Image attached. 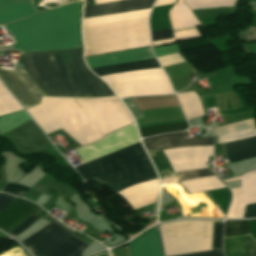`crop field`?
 Wrapping results in <instances>:
<instances>
[{"instance_id": "crop-field-1", "label": "crop field", "mask_w": 256, "mask_h": 256, "mask_svg": "<svg viewBox=\"0 0 256 256\" xmlns=\"http://www.w3.org/2000/svg\"><path fill=\"white\" fill-rule=\"evenodd\" d=\"M24 68L46 96L103 97L112 92L90 74L81 59V48L43 53H22ZM25 71L0 69V80L27 108L45 96Z\"/></svg>"}, {"instance_id": "crop-field-2", "label": "crop field", "mask_w": 256, "mask_h": 256, "mask_svg": "<svg viewBox=\"0 0 256 256\" xmlns=\"http://www.w3.org/2000/svg\"><path fill=\"white\" fill-rule=\"evenodd\" d=\"M72 99L94 125L101 138L116 129L134 123L115 96ZM72 99L42 97L40 104L58 126L81 145L100 139L95 128ZM40 104L26 110L46 134L60 129Z\"/></svg>"}, {"instance_id": "crop-field-3", "label": "crop field", "mask_w": 256, "mask_h": 256, "mask_svg": "<svg viewBox=\"0 0 256 256\" xmlns=\"http://www.w3.org/2000/svg\"><path fill=\"white\" fill-rule=\"evenodd\" d=\"M139 143L140 139L134 124H132L107 135L98 142L75 150L81 156L83 163H85ZM76 170L85 183L98 178L110 185L125 178L153 170V167L143 147L139 144L82 164L76 167ZM156 177L153 170L112 184L110 187L117 192L125 187Z\"/></svg>"}, {"instance_id": "crop-field-4", "label": "crop field", "mask_w": 256, "mask_h": 256, "mask_svg": "<svg viewBox=\"0 0 256 256\" xmlns=\"http://www.w3.org/2000/svg\"><path fill=\"white\" fill-rule=\"evenodd\" d=\"M78 1L49 9L32 17L4 25L13 35L15 51L59 50L81 47Z\"/></svg>"}, {"instance_id": "crop-field-5", "label": "crop field", "mask_w": 256, "mask_h": 256, "mask_svg": "<svg viewBox=\"0 0 256 256\" xmlns=\"http://www.w3.org/2000/svg\"><path fill=\"white\" fill-rule=\"evenodd\" d=\"M166 256L211 250L213 221H178L160 225ZM181 256H223L222 250Z\"/></svg>"}, {"instance_id": "crop-field-6", "label": "crop field", "mask_w": 256, "mask_h": 256, "mask_svg": "<svg viewBox=\"0 0 256 256\" xmlns=\"http://www.w3.org/2000/svg\"><path fill=\"white\" fill-rule=\"evenodd\" d=\"M101 78L121 99L132 96L173 93L161 68L105 75Z\"/></svg>"}, {"instance_id": "crop-field-7", "label": "crop field", "mask_w": 256, "mask_h": 256, "mask_svg": "<svg viewBox=\"0 0 256 256\" xmlns=\"http://www.w3.org/2000/svg\"><path fill=\"white\" fill-rule=\"evenodd\" d=\"M147 152L181 146L213 145V137L185 138L183 132L150 137L142 140ZM161 180L176 177L162 150L148 153Z\"/></svg>"}, {"instance_id": "crop-field-8", "label": "crop field", "mask_w": 256, "mask_h": 256, "mask_svg": "<svg viewBox=\"0 0 256 256\" xmlns=\"http://www.w3.org/2000/svg\"><path fill=\"white\" fill-rule=\"evenodd\" d=\"M71 234L72 232L52 220L31 237L20 243L34 256H46Z\"/></svg>"}, {"instance_id": "crop-field-9", "label": "crop field", "mask_w": 256, "mask_h": 256, "mask_svg": "<svg viewBox=\"0 0 256 256\" xmlns=\"http://www.w3.org/2000/svg\"><path fill=\"white\" fill-rule=\"evenodd\" d=\"M174 172L203 169L206 167L208 155L212 154V146L181 147L163 150Z\"/></svg>"}, {"instance_id": "crop-field-10", "label": "crop field", "mask_w": 256, "mask_h": 256, "mask_svg": "<svg viewBox=\"0 0 256 256\" xmlns=\"http://www.w3.org/2000/svg\"><path fill=\"white\" fill-rule=\"evenodd\" d=\"M241 179V188H233L232 203L226 218H242L245 205L256 203V170L240 177L225 180L231 182Z\"/></svg>"}, {"instance_id": "crop-field-11", "label": "crop field", "mask_w": 256, "mask_h": 256, "mask_svg": "<svg viewBox=\"0 0 256 256\" xmlns=\"http://www.w3.org/2000/svg\"><path fill=\"white\" fill-rule=\"evenodd\" d=\"M18 148L19 151L38 152L51 147L50 143L30 120L4 133Z\"/></svg>"}, {"instance_id": "crop-field-12", "label": "crop field", "mask_w": 256, "mask_h": 256, "mask_svg": "<svg viewBox=\"0 0 256 256\" xmlns=\"http://www.w3.org/2000/svg\"><path fill=\"white\" fill-rule=\"evenodd\" d=\"M118 194L132 210L154 203L159 194L158 178L128 187Z\"/></svg>"}, {"instance_id": "crop-field-13", "label": "crop field", "mask_w": 256, "mask_h": 256, "mask_svg": "<svg viewBox=\"0 0 256 256\" xmlns=\"http://www.w3.org/2000/svg\"><path fill=\"white\" fill-rule=\"evenodd\" d=\"M155 0H122L84 7V16L94 17L151 8Z\"/></svg>"}, {"instance_id": "crop-field-14", "label": "crop field", "mask_w": 256, "mask_h": 256, "mask_svg": "<svg viewBox=\"0 0 256 256\" xmlns=\"http://www.w3.org/2000/svg\"><path fill=\"white\" fill-rule=\"evenodd\" d=\"M151 58H154V56L150 50V47H147V48L87 57L85 58V60L89 69H91V68L100 67V66L127 63V62L143 60V59H151Z\"/></svg>"}, {"instance_id": "crop-field-15", "label": "crop field", "mask_w": 256, "mask_h": 256, "mask_svg": "<svg viewBox=\"0 0 256 256\" xmlns=\"http://www.w3.org/2000/svg\"><path fill=\"white\" fill-rule=\"evenodd\" d=\"M38 206L17 198L0 212V228L10 231L13 227L28 217Z\"/></svg>"}, {"instance_id": "crop-field-16", "label": "crop field", "mask_w": 256, "mask_h": 256, "mask_svg": "<svg viewBox=\"0 0 256 256\" xmlns=\"http://www.w3.org/2000/svg\"><path fill=\"white\" fill-rule=\"evenodd\" d=\"M129 256H163L158 227L145 232L128 246Z\"/></svg>"}, {"instance_id": "crop-field-17", "label": "crop field", "mask_w": 256, "mask_h": 256, "mask_svg": "<svg viewBox=\"0 0 256 256\" xmlns=\"http://www.w3.org/2000/svg\"><path fill=\"white\" fill-rule=\"evenodd\" d=\"M37 12L33 0H0V22L7 23Z\"/></svg>"}, {"instance_id": "crop-field-18", "label": "crop field", "mask_w": 256, "mask_h": 256, "mask_svg": "<svg viewBox=\"0 0 256 256\" xmlns=\"http://www.w3.org/2000/svg\"><path fill=\"white\" fill-rule=\"evenodd\" d=\"M225 256H256V240L250 235L224 238Z\"/></svg>"}, {"instance_id": "crop-field-19", "label": "crop field", "mask_w": 256, "mask_h": 256, "mask_svg": "<svg viewBox=\"0 0 256 256\" xmlns=\"http://www.w3.org/2000/svg\"><path fill=\"white\" fill-rule=\"evenodd\" d=\"M229 162H236L256 156V137L223 144Z\"/></svg>"}, {"instance_id": "crop-field-20", "label": "crop field", "mask_w": 256, "mask_h": 256, "mask_svg": "<svg viewBox=\"0 0 256 256\" xmlns=\"http://www.w3.org/2000/svg\"><path fill=\"white\" fill-rule=\"evenodd\" d=\"M187 119L203 115V110L198 95L194 92L176 94Z\"/></svg>"}, {"instance_id": "crop-field-21", "label": "crop field", "mask_w": 256, "mask_h": 256, "mask_svg": "<svg viewBox=\"0 0 256 256\" xmlns=\"http://www.w3.org/2000/svg\"><path fill=\"white\" fill-rule=\"evenodd\" d=\"M155 67H159V65L156 59H151V60L121 64V65L95 68V69H91V71L96 75L101 76V75L111 74V73H118V72H124V71L135 70V69L155 68Z\"/></svg>"}, {"instance_id": "crop-field-22", "label": "crop field", "mask_w": 256, "mask_h": 256, "mask_svg": "<svg viewBox=\"0 0 256 256\" xmlns=\"http://www.w3.org/2000/svg\"><path fill=\"white\" fill-rule=\"evenodd\" d=\"M181 184L191 193L202 192L206 190L220 189L225 186L222 182L215 176H210L206 178L193 179L182 181Z\"/></svg>"}, {"instance_id": "crop-field-23", "label": "crop field", "mask_w": 256, "mask_h": 256, "mask_svg": "<svg viewBox=\"0 0 256 256\" xmlns=\"http://www.w3.org/2000/svg\"><path fill=\"white\" fill-rule=\"evenodd\" d=\"M88 245L72 235L48 256H80L81 251Z\"/></svg>"}, {"instance_id": "crop-field-24", "label": "crop field", "mask_w": 256, "mask_h": 256, "mask_svg": "<svg viewBox=\"0 0 256 256\" xmlns=\"http://www.w3.org/2000/svg\"><path fill=\"white\" fill-rule=\"evenodd\" d=\"M22 110L21 106L0 83V115Z\"/></svg>"}, {"instance_id": "crop-field-25", "label": "crop field", "mask_w": 256, "mask_h": 256, "mask_svg": "<svg viewBox=\"0 0 256 256\" xmlns=\"http://www.w3.org/2000/svg\"><path fill=\"white\" fill-rule=\"evenodd\" d=\"M188 128L186 122L139 129L140 136L146 137L164 132L182 131Z\"/></svg>"}, {"instance_id": "crop-field-26", "label": "crop field", "mask_w": 256, "mask_h": 256, "mask_svg": "<svg viewBox=\"0 0 256 256\" xmlns=\"http://www.w3.org/2000/svg\"><path fill=\"white\" fill-rule=\"evenodd\" d=\"M249 233L247 221L225 222L224 236H232Z\"/></svg>"}, {"instance_id": "crop-field-27", "label": "crop field", "mask_w": 256, "mask_h": 256, "mask_svg": "<svg viewBox=\"0 0 256 256\" xmlns=\"http://www.w3.org/2000/svg\"><path fill=\"white\" fill-rule=\"evenodd\" d=\"M173 34H174V38L160 40V41H154V42H152L153 46H158V45H161V44H166V43L173 42V41L180 40V39H186V38H192V37L201 36L196 28L187 29V30H181V31H175V32H173Z\"/></svg>"}, {"instance_id": "crop-field-28", "label": "crop field", "mask_w": 256, "mask_h": 256, "mask_svg": "<svg viewBox=\"0 0 256 256\" xmlns=\"http://www.w3.org/2000/svg\"><path fill=\"white\" fill-rule=\"evenodd\" d=\"M223 222L214 221L212 250L222 249Z\"/></svg>"}, {"instance_id": "crop-field-29", "label": "crop field", "mask_w": 256, "mask_h": 256, "mask_svg": "<svg viewBox=\"0 0 256 256\" xmlns=\"http://www.w3.org/2000/svg\"><path fill=\"white\" fill-rule=\"evenodd\" d=\"M179 181L212 175L207 169L176 173Z\"/></svg>"}, {"instance_id": "crop-field-30", "label": "crop field", "mask_w": 256, "mask_h": 256, "mask_svg": "<svg viewBox=\"0 0 256 256\" xmlns=\"http://www.w3.org/2000/svg\"><path fill=\"white\" fill-rule=\"evenodd\" d=\"M29 190L30 188L25 186L8 183L2 191L23 197Z\"/></svg>"}, {"instance_id": "crop-field-31", "label": "crop field", "mask_w": 256, "mask_h": 256, "mask_svg": "<svg viewBox=\"0 0 256 256\" xmlns=\"http://www.w3.org/2000/svg\"><path fill=\"white\" fill-rule=\"evenodd\" d=\"M36 219L38 218L35 217L34 215H30L21 224H19L17 227L12 229L9 232V234H11L13 237L18 235L21 231H23L25 228L29 227L32 223H34Z\"/></svg>"}, {"instance_id": "crop-field-32", "label": "crop field", "mask_w": 256, "mask_h": 256, "mask_svg": "<svg viewBox=\"0 0 256 256\" xmlns=\"http://www.w3.org/2000/svg\"><path fill=\"white\" fill-rule=\"evenodd\" d=\"M125 105L128 107L129 111L133 115L134 119L143 117L138 106L134 102L133 98L123 100Z\"/></svg>"}, {"instance_id": "crop-field-33", "label": "crop field", "mask_w": 256, "mask_h": 256, "mask_svg": "<svg viewBox=\"0 0 256 256\" xmlns=\"http://www.w3.org/2000/svg\"><path fill=\"white\" fill-rule=\"evenodd\" d=\"M171 31L172 29L169 28L151 32L152 41L173 37Z\"/></svg>"}, {"instance_id": "crop-field-34", "label": "crop field", "mask_w": 256, "mask_h": 256, "mask_svg": "<svg viewBox=\"0 0 256 256\" xmlns=\"http://www.w3.org/2000/svg\"><path fill=\"white\" fill-rule=\"evenodd\" d=\"M15 199L16 197L0 193V211Z\"/></svg>"}, {"instance_id": "crop-field-35", "label": "crop field", "mask_w": 256, "mask_h": 256, "mask_svg": "<svg viewBox=\"0 0 256 256\" xmlns=\"http://www.w3.org/2000/svg\"><path fill=\"white\" fill-rule=\"evenodd\" d=\"M256 217V204L246 206L243 218Z\"/></svg>"}]
</instances>
